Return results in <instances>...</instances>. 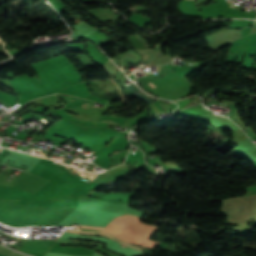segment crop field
Here are the masks:
<instances>
[{"label": "crop field", "mask_w": 256, "mask_h": 256, "mask_svg": "<svg viewBox=\"0 0 256 256\" xmlns=\"http://www.w3.org/2000/svg\"><path fill=\"white\" fill-rule=\"evenodd\" d=\"M114 221L119 222V223L124 224L129 227H132L139 231L145 232L147 234H149L150 232L155 230V226L142 223L139 221V217L129 215V214L123 215L121 217H116L114 219Z\"/></svg>", "instance_id": "crop-field-2"}, {"label": "crop field", "mask_w": 256, "mask_h": 256, "mask_svg": "<svg viewBox=\"0 0 256 256\" xmlns=\"http://www.w3.org/2000/svg\"><path fill=\"white\" fill-rule=\"evenodd\" d=\"M0 254L4 256H24L2 246H0Z\"/></svg>", "instance_id": "crop-field-3"}, {"label": "crop field", "mask_w": 256, "mask_h": 256, "mask_svg": "<svg viewBox=\"0 0 256 256\" xmlns=\"http://www.w3.org/2000/svg\"><path fill=\"white\" fill-rule=\"evenodd\" d=\"M120 214L88 208L74 223L105 227L113 217Z\"/></svg>", "instance_id": "crop-field-1"}, {"label": "crop field", "mask_w": 256, "mask_h": 256, "mask_svg": "<svg viewBox=\"0 0 256 256\" xmlns=\"http://www.w3.org/2000/svg\"><path fill=\"white\" fill-rule=\"evenodd\" d=\"M116 239H117L120 243H122V244H124V245H126V246H129V247H132V248H135V249H139V250H142V249H143V248H140V247H137V246L130 245V244H128V243H126V242H124V241L118 239V238H116Z\"/></svg>", "instance_id": "crop-field-5"}, {"label": "crop field", "mask_w": 256, "mask_h": 256, "mask_svg": "<svg viewBox=\"0 0 256 256\" xmlns=\"http://www.w3.org/2000/svg\"><path fill=\"white\" fill-rule=\"evenodd\" d=\"M65 232L81 233V234H94V235L106 236V237H109V238L115 240L112 235H109V234H106V233L80 232V231H72V230H66Z\"/></svg>", "instance_id": "crop-field-4"}, {"label": "crop field", "mask_w": 256, "mask_h": 256, "mask_svg": "<svg viewBox=\"0 0 256 256\" xmlns=\"http://www.w3.org/2000/svg\"><path fill=\"white\" fill-rule=\"evenodd\" d=\"M81 227L102 229L100 227L83 226V225H81ZM80 230H85V229H80ZM88 231H96V230H88Z\"/></svg>", "instance_id": "crop-field-6"}, {"label": "crop field", "mask_w": 256, "mask_h": 256, "mask_svg": "<svg viewBox=\"0 0 256 256\" xmlns=\"http://www.w3.org/2000/svg\"><path fill=\"white\" fill-rule=\"evenodd\" d=\"M161 104V103H160ZM162 105V104H161ZM163 106V105H162ZM164 107V106H163Z\"/></svg>", "instance_id": "crop-field-7"}]
</instances>
